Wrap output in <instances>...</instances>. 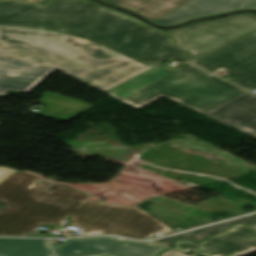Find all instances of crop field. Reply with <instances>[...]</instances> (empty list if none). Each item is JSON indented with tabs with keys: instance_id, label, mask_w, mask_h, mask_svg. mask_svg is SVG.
I'll return each mask as SVG.
<instances>
[{
	"instance_id": "obj_1",
	"label": "crop field",
	"mask_w": 256,
	"mask_h": 256,
	"mask_svg": "<svg viewBox=\"0 0 256 256\" xmlns=\"http://www.w3.org/2000/svg\"><path fill=\"white\" fill-rule=\"evenodd\" d=\"M75 36L113 56L84 53L68 40ZM185 54L167 33L89 0H0V59L51 67L102 92Z\"/></svg>"
},
{
	"instance_id": "obj_2",
	"label": "crop field",
	"mask_w": 256,
	"mask_h": 256,
	"mask_svg": "<svg viewBox=\"0 0 256 256\" xmlns=\"http://www.w3.org/2000/svg\"><path fill=\"white\" fill-rule=\"evenodd\" d=\"M38 180L17 171L0 183V203L6 206L0 208L1 236L26 235L39 224L56 225L69 215L71 226L85 229L83 235L150 239L160 232L176 233L142 208L87 201L89 194L57 184L48 191L38 190L32 187Z\"/></svg>"
},
{
	"instance_id": "obj_3",
	"label": "crop field",
	"mask_w": 256,
	"mask_h": 256,
	"mask_svg": "<svg viewBox=\"0 0 256 256\" xmlns=\"http://www.w3.org/2000/svg\"><path fill=\"white\" fill-rule=\"evenodd\" d=\"M244 92L189 65L122 101L138 109L165 96L203 113Z\"/></svg>"
},
{
	"instance_id": "obj_4",
	"label": "crop field",
	"mask_w": 256,
	"mask_h": 256,
	"mask_svg": "<svg viewBox=\"0 0 256 256\" xmlns=\"http://www.w3.org/2000/svg\"><path fill=\"white\" fill-rule=\"evenodd\" d=\"M256 30V15L243 13L167 30L181 49L190 52L184 59L194 62Z\"/></svg>"
},
{
	"instance_id": "obj_5",
	"label": "crop field",
	"mask_w": 256,
	"mask_h": 256,
	"mask_svg": "<svg viewBox=\"0 0 256 256\" xmlns=\"http://www.w3.org/2000/svg\"><path fill=\"white\" fill-rule=\"evenodd\" d=\"M192 64L211 73L222 69L238 76L233 83L256 90V32Z\"/></svg>"
},
{
	"instance_id": "obj_6",
	"label": "crop field",
	"mask_w": 256,
	"mask_h": 256,
	"mask_svg": "<svg viewBox=\"0 0 256 256\" xmlns=\"http://www.w3.org/2000/svg\"><path fill=\"white\" fill-rule=\"evenodd\" d=\"M56 256H158L167 248L149 242H133L115 237H92L65 240L53 244Z\"/></svg>"
},
{
	"instance_id": "obj_7",
	"label": "crop field",
	"mask_w": 256,
	"mask_h": 256,
	"mask_svg": "<svg viewBox=\"0 0 256 256\" xmlns=\"http://www.w3.org/2000/svg\"><path fill=\"white\" fill-rule=\"evenodd\" d=\"M172 249L182 253L193 251L201 256H242L256 251V231L249 225H236L201 243L178 241Z\"/></svg>"
},
{
	"instance_id": "obj_8",
	"label": "crop field",
	"mask_w": 256,
	"mask_h": 256,
	"mask_svg": "<svg viewBox=\"0 0 256 256\" xmlns=\"http://www.w3.org/2000/svg\"><path fill=\"white\" fill-rule=\"evenodd\" d=\"M53 71L23 61L0 60V95H5L8 89L29 92Z\"/></svg>"
},
{
	"instance_id": "obj_9",
	"label": "crop field",
	"mask_w": 256,
	"mask_h": 256,
	"mask_svg": "<svg viewBox=\"0 0 256 256\" xmlns=\"http://www.w3.org/2000/svg\"><path fill=\"white\" fill-rule=\"evenodd\" d=\"M247 0H192L159 21V25H173L194 18L245 8Z\"/></svg>"
},
{
	"instance_id": "obj_10",
	"label": "crop field",
	"mask_w": 256,
	"mask_h": 256,
	"mask_svg": "<svg viewBox=\"0 0 256 256\" xmlns=\"http://www.w3.org/2000/svg\"><path fill=\"white\" fill-rule=\"evenodd\" d=\"M204 114L256 131V96L246 92Z\"/></svg>"
},
{
	"instance_id": "obj_11",
	"label": "crop field",
	"mask_w": 256,
	"mask_h": 256,
	"mask_svg": "<svg viewBox=\"0 0 256 256\" xmlns=\"http://www.w3.org/2000/svg\"><path fill=\"white\" fill-rule=\"evenodd\" d=\"M174 72L176 71L159 64L104 93L121 100Z\"/></svg>"
},
{
	"instance_id": "obj_12",
	"label": "crop field",
	"mask_w": 256,
	"mask_h": 256,
	"mask_svg": "<svg viewBox=\"0 0 256 256\" xmlns=\"http://www.w3.org/2000/svg\"><path fill=\"white\" fill-rule=\"evenodd\" d=\"M190 0H118L113 4L130 9L155 22Z\"/></svg>"
},
{
	"instance_id": "obj_13",
	"label": "crop field",
	"mask_w": 256,
	"mask_h": 256,
	"mask_svg": "<svg viewBox=\"0 0 256 256\" xmlns=\"http://www.w3.org/2000/svg\"><path fill=\"white\" fill-rule=\"evenodd\" d=\"M0 256H53L48 240L0 239Z\"/></svg>"
},
{
	"instance_id": "obj_14",
	"label": "crop field",
	"mask_w": 256,
	"mask_h": 256,
	"mask_svg": "<svg viewBox=\"0 0 256 256\" xmlns=\"http://www.w3.org/2000/svg\"><path fill=\"white\" fill-rule=\"evenodd\" d=\"M234 223H245V222L241 219H237V220L205 227V228L198 229L195 231L187 232V233L180 234L177 236H173V237H169V238H165V239H161V240H156L153 242L169 247L173 240L180 239V238H186V239H190V240H202V239L206 238L208 235H210L211 233L221 231V230L233 225Z\"/></svg>"
},
{
	"instance_id": "obj_15",
	"label": "crop field",
	"mask_w": 256,
	"mask_h": 256,
	"mask_svg": "<svg viewBox=\"0 0 256 256\" xmlns=\"http://www.w3.org/2000/svg\"><path fill=\"white\" fill-rule=\"evenodd\" d=\"M71 43L81 50L85 51L86 53L99 58H110L111 54L107 52L100 51L99 47L93 43L88 41H84L78 37L70 39Z\"/></svg>"
},
{
	"instance_id": "obj_16",
	"label": "crop field",
	"mask_w": 256,
	"mask_h": 256,
	"mask_svg": "<svg viewBox=\"0 0 256 256\" xmlns=\"http://www.w3.org/2000/svg\"><path fill=\"white\" fill-rule=\"evenodd\" d=\"M216 120H218V121H220L222 123H225V124H227L229 126H232L234 128H237V129H239V130H241V131H243V132H245V133H247L249 135H252V136L256 137V132L255 131H252V130L244 128L242 126H239V125H236V124H232V123H229V122H226V121H222V120H219V119H216Z\"/></svg>"
},
{
	"instance_id": "obj_17",
	"label": "crop field",
	"mask_w": 256,
	"mask_h": 256,
	"mask_svg": "<svg viewBox=\"0 0 256 256\" xmlns=\"http://www.w3.org/2000/svg\"><path fill=\"white\" fill-rule=\"evenodd\" d=\"M16 170H12L9 168L1 167L0 166V182H2L4 179L9 177L11 174H13Z\"/></svg>"
},
{
	"instance_id": "obj_18",
	"label": "crop field",
	"mask_w": 256,
	"mask_h": 256,
	"mask_svg": "<svg viewBox=\"0 0 256 256\" xmlns=\"http://www.w3.org/2000/svg\"><path fill=\"white\" fill-rule=\"evenodd\" d=\"M161 256H184V255H181L174 251L169 250L167 252L162 253Z\"/></svg>"
},
{
	"instance_id": "obj_19",
	"label": "crop field",
	"mask_w": 256,
	"mask_h": 256,
	"mask_svg": "<svg viewBox=\"0 0 256 256\" xmlns=\"http://www.w3.org/2000/svg\"><path fill=\"white\" fill-rule=\"evenodd\" d=\"M246 4L248 8H256V0H250Z\"/></svg>"
},
{
	"instance_id": "obj_20",
	"label": "crop field",
	"mask_w": 256,
	"mask_h": 256,
	"mask_svg": "<svg viewBox=\"0 0 256 256\" xmlns=\"http://www.w3.org/2000/svg\"><path fill=\"white\" fill-rule=\"evenodd\" d=\"M249 223H256V215L245 217Z\"/></svg>"
},
{
	"instance_id": "obj_21",
	"label": "crop field",
	"mask_w": 256,
	"mask_h": 256,
	"mask_svg": "<svg viewBox=\"0 0 256 256\" xmlns=\"http://www.w3.org/2000/svg\"><path fill=\"white\" fill-rule=\"evenodd\" d=\"M104 1H107V2H112V1H114V0H104Z\"/></svg>"
},
{
	"instance_id": "obj_22",
	"label": "crop field",
	"mask_w": 256,
	"mask_h": 256,
	"mask_svg": "<svg viewBox=\"0 0 256 256\" xmlns=\"http://www.w3.org/2000/svg\"><path fill=\"white\" fill-rule=\"evenodd\" d=\"M254 228H256V225H252Z\"/></svg>"
}]
</instances>
